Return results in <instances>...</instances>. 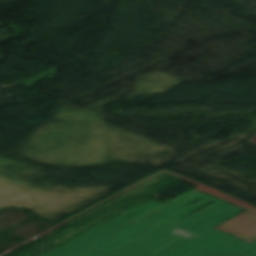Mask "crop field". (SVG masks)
<instances>
[{
  "mask_svg": "<svg viewBox=\"0 0 256 256\" xmlns=\"http://www.w3.org/2000/svg\"><path fill=\"white\" fill-rule=\"evenodd\" d=\"M203 193L211 195L215 198L222 200L223 202L233 205L235 207L245 210L244 212L228 219L227 221L215 226L214 228L229 233L233 236L246 240L248 242H253L256 240V212L251 211L245 207H242L238 204H235L229 200H226L222 197H219L215 194H212L206 190H203L199 187L194 188Z\"/></svg>",
  "mask_w": 256,
  "mask_h": 256,
  "instance_id": "ac0d7876",
  "label": "crop field"
},
{
  "mask_svg": "<svg viewBox=\"0 0 256 256\" xmlns=\"http://www.w3.org/2000/svg\"><path fill=\"white\" fill-rule=\"evenodd\" d=\"M223 206L226 207L221 208ZM242 211L241 209L223 203L176 228L196 236Z\"/></svg>",
  "mask_w": 256,
  "mask_h": 256,
  "instance_id": "34b2d1b8",
  "label": "crop field"
},
{
  "mask_svg": "<svg viewBox=\"0 0 256 256\" xmlns=\"http://www.w3.org/2000/svg\"><path fill=\"white\" fill-rule=\"evenodd\" d=\"M221 203L194 189L165 204L152 200L44 256H256V241L249 244L214 228L193 239L171 230Z\"/></svg>",
  "mask_w": 256,
  "mask_h": 256,
  "instance_id": "8a807250",
  "label": "crop field"
}]
</instances>
